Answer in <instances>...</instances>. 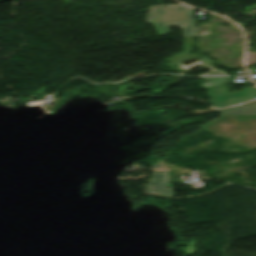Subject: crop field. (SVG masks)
<instances>
[{"instance_id":"obj_4","label":"crop field","mask_w":256,"mask_h":256,"mask_svg":"<svg viewBox=\"0 0 256 256\" xmlns=\"http://www.w3.org/2000/svg\"><path fill=\"white\" fill-rule=\"evenodd\" d=\"M220 115L256 114V102L219 111Z\"/></svg>"},{"instance_id":"obj_3","label":"crop field","mask_w":256,"mask_h":256,"mask_svg":"<svg viewBox=\"0 0 256 256\" xmlns=\"http://www.w3.org/2000/svg\"><path fill=\"white\" fill-rule=\"evenodd\" d=\"M157 166L159 169L156 168ZM153 167L155 175L149 179V184L146 186V193L163 194L172 197L173 187L168 186L169 167L162 160H159V163Z\"/></svg>"},{"instance_id":"obj_2","label":"crop field","mask_w":256,"mask_h":256,"mask_svg":"<svg viewBox=\"0 0 256 256\" xmlns=\"http://www.w3.org/2000/svg\"><path fill=\"white\" fill-rule=\"evenodd\" d=\"M207 95L210 97L209 103L217 108H222L256 99V87L243 88L239 92L230 93L227 86H217L208 88Z\"/></svg>"},{"instance_id":"obj_1","label":"crop field","mask_w":256,"mask_h":256,"mask_svg":"<svg viewBox=\"0 0 256 256\" xmlns=\"http://www.w3.org/2000/svg\"><path fill=\"white\" fill-rule=\"evenodd\" d=\"M147 23H152L157 34L169 33L167 27L184 26V37L195 35L193 10L182 5L149 7Z\"/></svg>"}]
</instances>
